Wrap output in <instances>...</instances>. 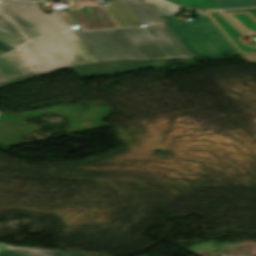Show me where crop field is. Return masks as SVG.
<instances>
[{
	"label": "crop field",
	"instance_id": "10",
	"mask_svg": "<svg viewBox=\"0 0 256 256\" xmlns=\"http://www.w3.org/2000/svg\"><path fill=\"white\" fill-rule=\"evenodd\" d=\"M0 49L3 50V51H5V52H8V51H10V50H12V49H14V48H12V47H10V46H8V45H6V44L0 42Z\"/></svg>",
	"mask_w": 256,
	"mask_h": 256
},
{
	"label": "crop field",
	"instance_id": "9",
	"mask_svg": "<svg viewBox=\"0 0 256 256\" xmlns=\"http://www.w3.org/2000/svg\"><path fill=\"white\" fill-rule=\"evenodd\" d=\"M59 15L65 20L67 24L75 22V20L70 16L68 12L60 13Z\"/></svg>",
	"mask_w": 256,
	"mask_h": 256
},
{
	"label": "crop field",
	"instance_id": "8",
	"mask_svg": "<svg viewBox=\"0 0 256 256\" xmlns=\"http://www.w3.org/2000/svg\"><path fill=\"white\" fill-rule=\"evenodd\" d=\"M219 8H243L256 6V0H215Z\"/></svg>",
	"mask_w": 256,
	"mask_h": 256
},
{
	"label": "crop field",
	"instance_id": "5",
	"mask_svg": "<svg viewBox=\"0 0 256 256\" xmlns=\"http://www.w3.org/2000/svg\"><path fill=\"white\" fill-rule=\"evenodd\" d=\"M153 67L149 61H118L73 68L81 78L113 72Z\"/></svg>",
	"mask_w": 256,
	"mask_h": 256
},
{
	"label": "crop field",
	"instance_id": "4",
	"mask_svg": "<svg viewBox=\"0 0 256 256\" xmlns=\"http://www.w3.org/2000/svg\"><path fill=\"white\" fill-rule=\"evenodd\" d=\"M239 53L256 54V47L243 42L247 37L232 21L220 11H204ZM250 36H256V19L249 13L226 14Z\"/></svg>",
	"mask_w": 256,
	"mask_h": 256
},
{
	"label": "crop field",
	"instance_id": "13",
	"mask_svg": "<svg viewBox=\"0 0 256 256\" xmlns=\"http://www.w3.org/2000/svg\"><path fill=\"white\" fill-rule=\"evenodd\" d=\"M2 112H0V114H1Z\"/></svg>",
	"mask_w": 256,
	"mask_h": 256
},
{
	"label": "crop field",
	"instance_id": "2",
	"mask_svg": "<svg viewBox=\"0 0 256 256\" xmlns=\"http://www.w3.org/2000/svg\"><path fill=\"white\" fill-rule=\"evenodd\" d=\"M104 9L148 60L192 58L144 0H115ZM146 23L149 28H140Z\"/></svg>",
	"mask_w": 256,
	"mask_h": 256
},
{
	"label": "crop field",
	"instance_id": "7",
	"mask_svg": "<svg viewBox=\"0 0 256 256\" xmlns=\"http://www.w3.org/2000/svg\"><path fill=\"white\" fill-rule=\"evenodd\" d=\"M189 9H218L214 0H167Z\"/></svg>",
	"mask_w": 256,
	"mask_h": 256
},
{
	"label": "crop field",
	"instance_id": "11",
	"mask_svg": "<svg viewBox=\"0 0 256 256\" xmlns=\"http://www.w3.org/2000/svg\"><path fill=\"white\" fill-rule=\"evenodd\" d=\"M4 53H5V52H3V51L0 50V55H2V54H4Z\"/></svg>",
	"mask_w": 256,
	"mask_h": 256
},
{
	"label": "crop field",
	"instance_id": "1",
	"mask_svg": "<svg viewBox=\"0 0 256 256\" xmlns=\"http://www.w3.org/2000/svg\"><path fill=\"white\" fill-rule=\"evenodd\" d=\"M0 41L16 48L0 57V86L59 67L147 60L121 28L71 31L28 2L0 1Z\"/></svg>",
	"mask_w": 256,
	"mask_h": 256
},
{
	"label": "crop field",
	"instance_id": "3",
	"mask_svg": "<svg viewBox=\"0 0 256 256\" xmlns=\"http://www.w3.org/2000/svg\"><path fill=\"white\" fill-rule=\"evenodd\" d=\"M145 1L193 57L220 58L238 53L203 11H197L200 21L181 24L175 15L179 8L161 1Z\"/></svg>",
	"mask_w": 256,
	"mask_h": 256
},
{
	"label": "crop field",
	"instance_id": "12",
	"mask_svg": "<svg viewBox=\"0 0 256 256\" xmlns=\"http://www.w3.org/2000/svg\"><path fill=\"white\" fill-rule=\"evenodd\" d=\"M37 1H44V0H37Z\"/></svg>",
	"mask_w": 256,
	"mask_h": 256
},
{
	"label": "crop field",
	"instance_id": "6",
	"mask_svg": "<svg viewBox=\"0 0 256 256\" xmlns=\"http://www.w3.org/2000/svg\"><path fill=\"white\" fill-rule=\"evenodd\" d=\"M0 256H89L31 247H11L0 243Z\"/></svg>",
	"mask_w": 256,
	"mask_h": 256
}]
</instances>
